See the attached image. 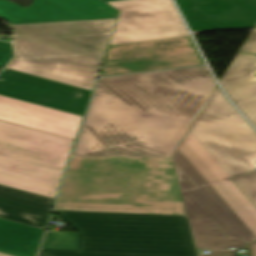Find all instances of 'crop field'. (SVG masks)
<instances>
[{
  "instance_id": "crop-field-5",
  "label": "crop field",
  "mask_w": 256,
  "mask_h": 256,
  "mask_svg": "<svg viewBox=\"0 0 256 256\" xmlns=\"http://www.w3.org/2000/svg\"><path fill=\"white\" fill-rule=\"evenodd\" d=\"M172 160L197 249L239 248L256 241L177 149Z\"/></svg>"
},
{
  "instance_id": "crop-field-16",
  "label": "crop field",
  "mask_w": 256,
  "mask_h": 256,
  "mask_svg": "<svg viewBox=\"0 0 256 256\" xmlns=\"http://www.w3.org/2000/svg\"><path fill=\"white\" fill-rule=\"evenodd\" d=\"M40 256H142V255L91 254V253H77V251H68V250L42 249Z\"/></svg>"
},
{
  "instance_id": "crop-field-3",
  "label": "crop field",
  "mask_w": 256,
  "mask_h": 256,
  "mask_svg": "<svg viewBox=\"0 0 256 256\" xmlns=\"http://www.w3.org/2000/svg\"><path fill=\"white\" fill-rule=\"evenodd\" d=\"M116 20L12 26L7 69L91 90Z\"/></svg>"
},
{
  "instance_id": "crop-field-4",
  "label": "crop field",
  "mask_w": 256,
  "mask_h": 256,
  "mask_svg": "<svg viewBox=\"0 0 256 256\" xmlns=\"http://www.w3.org/2000/svg\"><path fill=\"white\" fill-rule=\"evenodd\" d=\"M73 142L0 121V184L55 199Z\"/></svg>"
},
{
  "instance_id": "crop-field-23",
  "label": "crop field",
  "mask_w": 256,
  "mask_h": 256,
  "mask_svg": "<svg viewBox=\"0 0 256 256\" xmlns=\"http://www.w3.org/2000/svg\"><path fill=\"white\" fill-rule=\"evenodd\" d=\"M1 70V69H0Z\"/></svg>"
},
{
  "instance_id": "crop-field-17",
  "label": "crop field",
  "mask_w": 256,
  "mask_h": 256,
  "mask_svg": "<svg viewBox=\"0 0 256 256\" xmlns=\"http://www.w3.org/2000/svg\"><path fill=\"white\" fill-rule=\"evenodd\" d=\"M13 56L12 44L0 42V68H3Z\"/></svg>"
},
{
  "instance_id": "crop-field-12",
  "label": "crop field",
  "mask_w": 256,
  "mask_h": 256,
  "mask_svg": "<svg viewBox=\"0 0 256 256\" xmlns=\"http://www.w3.org/2000/svg\"><path fill=\"white\" fill-rule=\"evenodd\" d=\"M82 116L0 95V120L76 139Z\"/></svg>"
},
{
  "instance_id": "crop-field-13",
  "label": "crop field",
  "mask_w": 256,
  "mask_h": 256,
  "mask_svg": "<svg viewBox=\"0 0 256 256\" xmlns=\"http://www.w3.org/2000/svg\"><path fill=\"white\" fill-rule=\"evenodd\" d=\"M220 83L256 126V55L238 53Z\"/></svg>"
},
{
  "instance_id": "crop-field-11",
  "label": "crop field",
  "mask_w": 256,
  "mask_h": 256,
  "mask_svg": "<svg viewBox=\"0 0 256 256\" xmlns=\"http://www.w3.org/2000/svg\"><path fill=\"white\" fill-rule=\"evenodd\" d=\"M192 31L254 28L256 0H176Z\"/></svg>"
},
{
  "instance_id": "crop-field-9",
  "label": "crop field",
  "mask_w": 256,
  "mask_h": 256,
  "mask_svg": "<svg viewBox=\"0 0 256 256\" xmlns=\"http://www.w3.org/2000/svg\"><path fill=\"white\" fill-rule=\"evenodd\" d=\"M0 78L1 95L82 116L91 92L7 69Z\"/></svg>"
},
{
  "instance_id": "crop-field-14",
  "label": "crop field",
  "mask_w": 256,
  "mask_h": 256,
  "mask_svg": "<svg viewBox=\"0 0 256 256\" xmlns=\"http://www.w3.org/2000/svg\"><path fill=\"white\" fill-rule=\"evenodd\" d=\"M77 233L47 232L42 248L76 250Z\"/></svg>"
},
{
  "instance_id": "crop-field-22",
  "label": "crop field",
  "mask_w": 256,
  "mask_h": 256,
  "mask_svg": "<svg viewBox=\"0 0 256 256\" xmlns=\"http://www.w3.org/2000/svg\"><path fill=\"white\" fill-rule=\"evenodd\" d=\"M0 256H5V255H1V254H0Z\"/></svg>"
},
{
  "instance_id": "crop-field-20",
  "label": "crop field",
  "mask_w": 256,
  "mask_h": 256,
  "mask_svg": "<svg viewBox=\"0 0 256 256\" xmlns=\"http://www.w3.org/2000/svg\"><path fill=\"white\" fill-rule=\"evenodd\" d=\"M250 256H256V242L247 244Z\"/></svg>"
},
{
  "instance_id": "crop-field-1",
  "label": "crop field",
  "mask_w": 256,
  "mask_h": 256,
  "mask_svg": "<svg viewBox=\"0 0 256 256\" xmlns=\"http://www.w3.org/2000/svg\"><path fill=\"white\" fill-rule=\"evenodd\" d=\"M216 86L207 66L99 80L54 211L78 252L197 256L171 157Z\"/></svg>"
},
{
  "instance_id": "crop-field-19",
  "label": "crop field",
  "mask_w": 256,
  "mask_h": 256,
  "mask_svg": "<svg viewBox=\"0 0 256 256\" xmlns=\"http://www.w3.org/2000/svg\"><path fill=\"white\" fill-rule=\"evenodd\" d=\"M212 254L198 255V256H235L234 251H211Z\"/></svg>"
},
{
  "instance_id": "crop-field-21",
  "label": "crop field",
  "mask_w": 256,
  "mask_h": 256,
  "mask_svg": "<svg viewBox=\"0 0 256 256\" xmlns=\"http://www.w3.org/2000/svg\"><path fill=\"white\" fill-rule=\"evenodd\" d=\"M103 1H105V2H109V1H116V0H103Z\"/></svg>"
},
{
  "instance_id": "crop-field-18",
  "label": "crop field",
  "mask_w": 256,
  "mask_h": 256,
  "mask_svg": "<svg viewBox=\"0 0 256 256\" xmlns=\"http://www.w3.org/2000/svg\"><path fill=\"white\" fill-rule=\"evenodd\" d=\"M240 52L256 54V30H253Z\"/></svg>"
},
{
  "instance_id": "crop-field-10",
  "label": "crop field",
  "mask_w": 256,
  "mask_h": 256,
  "mask_svg": "<svg viewBox=\"0 0 256 256\" xmlns=\"http://www.w3.org/2000/svg\"><path fill=\"white\" fill-rule=\"evenodd\" d=\"M118 14L102 0H34L27 9L0 0V17L12 24L108 19L117 18Z\"/></svg>"
},
{
  "instance_id": "crop-field-7",
  "label": "crop field",
  "mask_w": 256,
  "mask_h": 256,
  "mask_svg": "<svg viewBox=\"0 0 256 256\" xmlns=\"http://www.w3.org/2000/svg\"><path fill=\"white\" fill-rule=\"evenodd\" d=\"M108 4L121 12L109 46L189 36L171 0Z\"/></svg>"
},
{
  "instance_id": "crop-field-6",
  "label": "crop field",
  "mask_w": 256,
  "mask_h": 256,
  "mask_svg": "<svg viewBox=\"0 0 256 256\" xmlns=\"http://www.w3.org/2000/svg\"><path fill=\"white\" fill-rule=\"evenodd\" d=\"M53 201L0 185V253L35 256Z\"/></svg>"
},
{
  "instance_id": "crop-field-2",
  "label": "crop field",
  "mask_w": 256,
  "mask_h": 256,
  "mask_svg": "<svg viewBox=\"0 0 256 256\" xmlns=\"http://www.w3.org/2000/svg\"><path fill=\"white\" fill-rule=\"evenodd\" d=\"M249 125L217 86L177 149L256 236V207L230 179L256 171Z\"/></svg>"
},
{
  "instance_id": "crop-field-15",
  "label": "crop field",
  "mask_w": 256,
  "mask_h": 256,
  "mask_svg": "<svg viewBox=\"0 0 256 256\" xmlns=\"http://www.w3.org/2000/svg\"><path fill=\"white\" fill-rule=\"evenodd\" d=\"M232 180L256 206V173Z\"/></svg>"
},
{
  "instance_id": "crop-field-8",
  "label": "crop field",
  "mask_w": 256,
  "mask_h": 256,
  "mask_svg": "<svg viewBox=\"0 0 256 256\" xmlns=\"http://www.w3.org/2000/svg\"><path fill=\"white\" fill-rule=\"evenodd\" d=\"M205 64L190 37L109 47L98 77Z\"/></svg>"
}]
</instances>
